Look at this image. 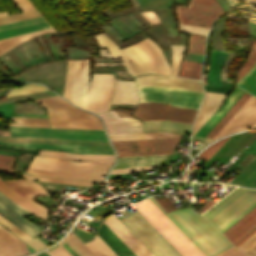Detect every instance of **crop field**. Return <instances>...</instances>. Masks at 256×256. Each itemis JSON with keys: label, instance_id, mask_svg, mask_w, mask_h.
Returning a JSON list of instances; mask_svg holds the SVG:
<instances>
[{"label": "crop field", "instance_id": "crop-field-12", "mask_svg": "<svg viewBox=\"0 0 256 256\" xmlns=\"http://www.w3.org/2000/svg\"><path fill=\"white\" fill-rule=\"evenodd\" d=\"M7 185H9L15 192H17L20 196L25 197L27 199L32 200L34 195H48L46 190L39 184L30 181V180H15V181H4ZM4 182L0 180V184L7 189L11 194H13L16 198L22 200L23 202L29 204L36 210L40 211L44 215H46L47 208L33 202L30 200H27L25 198L20 197L18 194H16L10 187H8ZM2 186H0V190L5 193L9 198H11L13 201L33 213L34 215L38 216L41 219H45L46 216L41 214L40 212L36 211L29 205L23 203L22 201L16 199L14 196H12L8 191H6Z\"/></svg>", "mask_w": 256, "mask_h": 256}, {"label": "crop field", "instance_id": "crop-field-53", "mask_svg": "<svg viewBox=\"0 0 256 256\" xmlns=\"http://www.w3.org/2000/svg\"><path fill=\"white\" fill-rule=\"evenodd\" d=\"M179 30L188 31L192 33H199V34H205L207 35L209 29L208 28H202V27H196V26H190V25H182L179 24Z\"/></svg>", "mask_w": 256, "mask_h": 256}, {"label": "crop field", "instance_id": "crop-field-18", "mask_svg": "<svg viewBox=\"0 0 256 256\" xmlns=\"http://www.w3.org/2000/svg\"><path fill=\"white\" fill-rule=\"evenodd\" d=\"M103 222L133 251L136 256H153L114 215Z\"/></svg>", "mask_w": 256, "mask_h": 256}, {"label": "crop field", "instance_id": "crop-field-50", "mask_svg": "<svg viewBox=\"0 0 256 256\" xmlns=\"http://www.w3.org/2000/svg\"><path fill=\"white\" fill-rule=\"evenodd\" d=\"M43 20L44 19L41 16H38V17H34V18H30V19H26V20L14 22V23L2 25V26H0V31L27 25V24H31V23H35V22H39V21H43Z\"/></svg>", "mask_w": 256, "mask_h": 256}, {"label": "crop field", "instance_id": "crop-field-9", "mask_svg": "<svg viewBox=\"0 0 256 256\" xmlns=\"http://www.w3.org/2000/svg\"><path fill=\"white\" fill-rule=\"evenodd\" d=\"M120 221L154 256H180L138 212Z\"/></svg>", "mask_w": 256, "mask_h": 256}, {"label": "crop field", "instance_id": "crop-field-19", "mask_svg": "<svg viewBox=\"0 0 256 256\" xmlns=\"http://www.w3.org/2000/svg\"><path fill=\"white\" fill-rule=\"evenodd\" d=\"M109 134L142 132L141 122L133 118L119 117L114 110L99 113Z\"/></svg>", "mask_w": 256, "mask_h": 256}, {"label": "crop field", "instance_id": "crop-field-60", "mask_svg": "<svg viewBox=\"0 0 256 256\" xmlns=\"http://www.w3.org/2000/svg\"><path fill=\"white\" fill-rule=\"evenodd\" d=\"M10 126H30V127H49L48 124H33V123H10Z\"/></svg>", "mask_w": 256, "mask_h": 256}, {"label": "crop field", "instance_id": "crop-field-37", "mask_svg": "<svg viewBox=\"0 0 256 256\" xmlns=\"http://www.w3.org/2000/svg\"><path fill=\"white\" fill-rule=\"evenodd\" d=\"M48 27L49 25L46 23V21H43V22H39V23L27 25V26L15 28V29L0 32V39L32 32V31H36V30H40Z\"/></svg>", "mask_w": 256, "mask_h": 256}, {"label": "crop field", "instance_id": "crop-field-64", "mask_svg": "<svg viewBox=\"0 0 256 256\" xmlns=\"http://www.w3.org/2000/svg\"><path fill=\"white\" fill-rule=\"evenodd\" d=\"M105 65H124L123 63H95V66H105Z\"/></svg>", "mask_w": 256, "mask_h": 256}, {"label": "crop field", "instance_id": "crop-field-62", "mask_svg": "<svg viewBox=\"0 0 256 256\" xmlns=\"http://www.w3.org/2000/svg\"><path fill=\"white\" fill-rule=\"evenodd\" d=\"M215 202L208 200L204 206L198 211L200 213H203L205 210H207L211 205H213Z\"/></svg>", "mask_w": 256, "mask_h": 256}, {"label": "crop field", "instance_id": "crop-field-10", "mask_svg": "<svg viewBox=\"0 0 256 256\" xmlns=\"http://www.w3.org/2000/svg\"><path fill=\"white\" fill-rule=\"evenodd\" d=\"M223 13L225 11L216 0H191L188 7H176L179 23L208 28Z\"/></svg>", "mask_w": 256, "mask_h": 256}, {"label": "crop field", "instance_id": "crop-field-38", "mask_svg": "<svg viewBox=\"0 0 256 256\" xmlns=\"http://www.w3.org/2000/svg\"><path fill=\"white\" fill-rule=\"evenodd\" d=\"M225 55L226 52L212 50L209 79L220 80L219 71L222 67Z\"/></svg>", "mask_w": 256, "mask_h": 256}, {"label": "crop field", "instance_id": "crop-field-45", "mask_svg": "<svg viewBox=\"0 0 256 256\" xmlns=\"http://www.w3.org/2000/svg\"><path fill=\"white\" fill-rule=\"evenodd\" d=\"M22 178L30 179V180H38V181L70 183V184L84 185V186H90L93 183H95V182H92V181L55 179V178L39 177V176H33V175H27V174H22Z\"/></svg>", "mask_w": 256, "mask_h": 256}, {"label": "crop field", "instance_id": "crop-field-26", "mask_svg": "<svg viewBox=\"0 0 256 256\" xmlns=\"http://www.w3.org/2000/svg\"><path fill=\"white\" fill-rule=\"evenodd\" d=\"M58 245L70 256H95L72 232Z\"/></svg>", "mask_w": 256, "mask_h": 256}, {"label": "crop field", "instance_id": "crop-field-13", "mask_svg": "<svg viewBox=\"0 0 256 256\" xmlns=\"http://www.w3.org/2000/svg\"><path fill=\"white\" fill-rule=\"evenodd\" d=\"M179 138L112 142L118 156L172 153Z\"/></svg>", "mask_w": 256, "mask_h": 256}, {"label": "crop field", "instance_id": "crop-field-40", "mask_svg": "<svg viewBox=\"0 0 256 256\" xmlns=\"http://www.w3.org/2000/svg\"><path fill=\"white\" fill-rule=\"evenodd\" d=\"M85 245L96 255V256H117L97 235L94 240Z\"/></svg>", "mask_w": 256, "mask_h": 256}, {"label": "crop field", "instance_id": "crop-field-59", "mask_svg": "<svg viewBox=\"0 0 256 256\" xmlns=\"http://www.w3.org/2000/svg\"><path fill=\"white\" fill-rule=\"evenodd\" d=\"M255 244H256V233L251 238H249L246 242H244L241 246H239L238 248H240L246 252Z\"/></svg>", "mask_w": 256, "mask_h": 256}, {"label": "crop field", "instance_id": "crop-field-24", "mask_svg": "<svg viewBox=\"0 0 256 256\" xmlns=\"http://www.w3.org/2000/svg\"><path fill=\"white\" fill-rule=\"evenodd\" d=\"M137 100L133 82L116 80L112 103L136 104Z\"/></svg>", "mask_w": 256, "mask_h": 256}, {"label": "crop field", "instance_id": "crop-field-46", "mask_svg": "<svg viewBox=\"0 0 256 256\" xmlns=\"http://www.w3.org/2000/svg\"><path fill=\"white\" fill-rule=\"evenodd\" d=\"M41 90H47V88L39 84H25L22 87L12 88L7 97Z\"/></svg>", "mask_w": 256, "mask_h": 256}, {"label": "crop field", "instance_id": "crop-field-7", "mask_svg": "<svg viewBox=\"0 0 256 256\" xmlns=\"http://www.w3.org/2000/svg\"><path fill=\"white\" fill-rule=\"evenodd\" d=\"M140 102H158L172 106H179L197 110L202 100L203 92L178 89L157 85L137 87ZM199 101L198 105H194Z\"/></svg>", "mask_w": 256, "mask_h": 256}, {"label": "crop field", "instance_id": "crop-field-47", "mask_svg": "<svg viewBox=\"0 0 256 256\" xmlns=\"http://www.w3.org/2000/svg\"><path fill=\"white\" fill-rule=\"evenodd\" d=\"M256 62V41L253 40V45L251 52L247 61L244 63L242 68L240 69L237 77V81L252 67V65Z\"/></svg>", "mask_w": 256, "mask_h": 256}, {"label": "crop field", "instance_id": "crop-field-5", "mask_svg": "<svg viewBox=\"0 0 256 256\" xmlns=\"http://www.w3.org/2000/svg\"><path fill=\"white\" fill-rule=\"evenodd\" d=\"M36 102L47 109L52 127L103 129L97 117L68 104L59 96L36 100Z\"/></svg>", "mask_w": 256, "mask_h": 256}, {"label": "crop field", "instance_id": "crop-field-31", "mask_svg": "<svg viewBox=\"0 0 256 256\" xmlns=\"http://www.w3.org/2000/svg\"><path fill=\"white\" fill-rule=\"evenodd\" d=\"M95 38L99 44L100 47H107L108 51L112 55V57H121L123 62L126 65L127 70L132 74L136 75L137 72L132 67L128 59L124 56V54L121 52V50L103 33L99 35H95Z\"/></svg>", "mask_w": 256, "mask_h": 256}, {"label": "crop field", "instance_id": "crop-field-48", "mask_svg": "<svg viewBox=\"0 0 256 256\" xmlns=\"http://www.w3.org/2000/svg\"><path fill=\"white\" fill-rule=\"evenodd\" d=\"M249 153L256 155V140L225 171L230 173Z\"/></svg>", "mask_w": 256, "mask_h": 256}, {"label": "crop field", "instance_id": "crop-field-44", "mask_svg": "<svg viewBox=\"0 0 256 256\" xmlns=\"http://www.w3.org/2000/svg\"><path fill=\"white\" fill-rule=\"evenodd\" d=\"M205 36L191 34L187 52L203 55Z\"/></svg>", "mask_w": 256, "mask_h": 256}, {"label": "crop field", "instance_id": "crop-field-29", "mask_svg": "<svg viewBox=\"0 0 256 256\" xmlns=\"http://www.w3.org/2000/svg\"><path fill=\"white\" fill-rule=\"evenodd\" d=\"M23 13L14 14L0 18V25L38 16V12L33 8L28 0H12Z\"/></svg>", "mask_w": 256, "mask_h": 256}, {"label": "crop field", "instance_id": "crop-field-68", "mask_svg": "<svg viewBox=\"0 0 256 256\" xmlns=\"http://www.w3.org/2000/svg\"><path fill=\"white\" fill-rule=\"evenodd\" d=\"M37 256H49L47 253L43 252L41 254H38Z\"/></svg>", "mask_w": 256, "mask_h": 256}, {"label": "crop field", "instance_id": "crop-field-15", "mask_svg": "<svg viewBox=\"0 0 256 256\" xmlns=\"http://www.w3.org/2000/svg\"><path fill=\"white\" fill-rule=\"evenodd\" d=\"M195 112L158 103H147L139 104L134 115L143 120L167 119L191 124Z\"/></svg>", "mask_w": 256, "mask_h": 256}, {"label": "crop field", "instance_id": "crop-field-4", "mask_svg": "<svg viewBox=\"0 0 256 256\" xmlns=\"http://www.w3.org/2000/svg\"><path fill=\"white\" fill-rule=\"evenodd\" d=\"M0 144L25 149H51L73 153L114 154L107 140L0 136Z\"/></svg>", "mask_w": 256, "mask_h": 256}, {"label": "crop field", "instance_id": "crop-field-65", "mask_svg": "<svg viewBox=\"0 0 256 256\" xmlns=\"http://www.w3.org/2000/svg\"><path fill=\"white\" fill-rule=\"evenodd\" d=\"M246 253H248L251 256H256V245L254 247H252L249 251H247Z\"/></svg>", "mask_w": 256, "mask_h": 256}, {"label": "crop field", "instance_id": "crop-field-36", "mask_svg": "<svg viewBox=\"0 0 256 256\" xmlns=\"http://www.w3.org/2000/svg\"><path fill=\"white\" fill-rule=\"evenodd\" d=\"M201 63L183 59L179 76L200 79Z\"/></svg>", "mask_w": 256, "mask_h": 256}, {"label": "crop field", "instance_id": "crop-field-16", "mask_svg": "<svg viewBox=\"0 0 256 256\" xmlns=\"http://www.w3.org/2000/svg\"><path fill=\"white\" fill-rule=\"evenodd\" d=\"M0 214L7 218L10 222L23 230L25 233L34 237L39 233L40 229L36 225L22 218V215H33L0 191Z\"/></svg>", "mask_w": 256, "mask_h": 256}, {"label": "crop field", "instance_id": "crop-field-67", "mask_svg": "<svg viewBox=\"0 0 256 256\" xmlns=\"http://www.w3.org/2000/svg\"><path fill=\"white\" fill-rule=\"evenodd\" d=\"M0 135L9 136V132L0 130Z\"/></svg>", "mask_w": 256, "mask_h": 256}, {"label": "crop field", "instance_id": "crop-field-52", "mask_svg": "<svg viewBox=\"0 0 256 256\" xmlns=\"http://www.w3.org/2000/svg\"><path fill=\"white\" fill-rule=\"evenodd\" d=\"M15 157L0 155V169L10 171Z\"/></svg>", "mask_w": 256, "mask_h": 256}, {"label": "crop field", "instance_id": "crop-field-25", "mask_svg": "<svg viewBox=\"0 0 256 256\" xmlns=\"http://www.w3.org/2000/svg\"><path fill=\"white\" fill-rule=\"evenodd\" d=\"M121 50L130 60L138 74L155 73L146 56L135 44Z\"/></svg>", "mask_w": 256, "mask_h": 256}, {"label": "crop field", "instance_id": "crop-field-6", "mask_svg": "<svg viewBox=\"0 0 256 256\" xmlns=\"http://www.w3.org/2000/svg\"><path fill=\"white\" fill-rule=\"evenodd\" d=\"M134 206L183 256H204L148 198Z\"/></svg>", "mask_w": 256, "mask_h": 256}, {"label": "crop field", "instance_id": "crop-field-49", "mask_svg": "<svg viewBox=\"0 0 256 256\" xmlns=\"http://www.w3.org/2000/svg\"><path fill=\"white\" fill-rule=\"evenodd\" d=\"M230 137V136H229ZM224 138L212 145H210L208 148H206L204 151H202L199 155V157L207 160L209 159L220 147L221 145L229 138Z\"/></svg>", "mask_w": 256, "mask_h": 256}, {"label": "crop field", "instance_id": "crop-field-72", "mask_svg": "<svg viewBox=\"0 0 256 256\" xmlns=\"http://www.w3.org/2000/svg\"><path fill=\"white\" fill-rule=\"evenodd\" d=\"M34 256H36V255H34Z\"/></svg>", "mask_w": 256, "mask_h": 256}, {"label": "crop field", "instance_id": "crop-field-3", "mask_svg": "<svg viewBox=\"0 0 256 256\" xmlns=\"http://www.w3.org/2000/svg\"><path fill=\"white\" fill-rule=\"evenodd\" d=\"M112 162H74L61 158L35 156L28 173L84 180L100 181L101 175L110 168Z\"/></svg>", "mask_w": 256, "mask_h": 256}, {"label": "crop field", "instance_id": "crop-field-1", "mask_svg": "<svg viewBox=\"0 0 256 256\" xmlns=\"http://www.w3.org/2000/svg\"><path fill=\"white\" fill-rule=\"evenodd\" d=\"M149 199L205 256H212L232 245L204 216L192 208L166 214L153 196Z\"/></svg>", "mask_w": 256, "mask_h": 256}, {"label": "crop field", "instance_id": "crop-field-42", "mask_svg": "<svg viewBox=\"0 0 256 256\" xmlns=\"http://www.w3.org/2000/svg\"><path fill=\"white\" fill-rule=\"evenodd\" d=\"M237 86L256 96V64L243 77V79L237 84Z\"/></svg>", "mask_w": 256, "mask_h": 256}, {"label": "crop field", "instance_id": "crop-field-34", "mask_svg": "<svg viewBox=\"0 0 256 256\" xmlns=\"http://www.w3.org/2000/svg\"><path fill=\"white\" fill-rule=\"evenodd\" d=\"M248 93H244L241 98L231 107V109L220 119V121L206 135L213 138L217 132L227 123V121L237 112L240 106L250 97Z\"/></svg>", "mask_w": 256, "mask_h": 256}, {"label": "crop field", "instance_id": "crop-field-39", "mask_svg": "<svg viewBox=\"0 0 256 256\" xmlns=\"http://www.w3.org/2000/svg\"><path fill=\"white\" fill-rule=\"evenodd\" d=\"M10 136L107 139L106 136L45 134V133H21V132H10Z\"/></svg>", "mask_w": 256, "mask_h": 256}, {"label": "crop field", "instance_id": "crop-field-23", "mask_svg": "<svg viewBox=\"0 0 256 256\" xmlns=\"http://www.w3.org/2000/svg\"><path fill=\"white\" fill-rule=\"evenodd\" d=\"M97 235L118 255L135 256L132 251L104 224L102 223Z\"/></svg>", "mask_w": 256, "mask_h": 256}, {"label": "crop field", "instance_id": "crop-field-69", "mask_svg": "<svg viewBox=\"0 0 256 256\" xmlns=\"http://www.w3.org/2000/svg\"><path fill=\"white\" fill-rule=\"evenodd\" d=\"M5 15H7V11L0 12V17H1V16H5Z\"/></svg>", "mask_w": 256, "mask_h": 256}, {"label": "crop field", "instance_id": "crop-field-63", "mask_svg": "<svg viewBox=\"0 0 256 256\" xmlns=\"http://www.w3.org/2000/svg\"><path fill=\"white\" fill-rule=\"evenodd\" d=\"M17 241L19 243V246H20V249L22 251V254L25 255V254L29 253L27 248H26V246H25V244L22 243L19 239H17Z\"/></svg>", "mask_w": 256, "mask_h": 256}, {"label": "crop field", "instance_id": "crop-field-66", "mask_svg": "<svg viewBox=\"0 0 256 256\" xmlns=\"http://www.w3.org/2000/svg\"><path fill=\"white\" fill-rule=\"evenodd\" d=\"M99 53H100L101 56L111 57V56L108 54V52H107L106 50H104V49L99 50Z\"/></svg>", "mask_w": 256, "mask_h": 256}, {"label": "crop field", "instance_id": "crop-field-32", "mask_svg": "<svg viewBox=\"0 0 256 256\" xmlns=\"http://www.w3.org/2000/svg\"><path fill=\"white\" fill-rule=\"evenodd\" d=\"M109 136L111 138V141L181 137V135L179 134L167 132L117 134Z\"/></svg>", "mask_w": 256, "mask_h": 256}, {"label": "crop field", "instance_id": "crop-field-61", "mask_svg": "<svg viewBox=\"0 0 256 256\" xmlns=\"http://www.w3.org/2000/svg\"><path fill=\"white\" fill-rule=\"evenodd\" d=\"M51 256H68L60 247L55 250L49 252Z\"/></svg>", "mask_w": 256, "mask_h": 256}, {"label": "crop field", "instance_id": "crop-field-73", "mask_svg": "<svg viewBox=\"0 0 256 256\" xmlns=\"http://www.w3.org/2000/svg\"><path fill=\"white\" fill-rule=\"evenodd\" d=\"M256 127V126H255Z\"/></svg>", "mask_w": 256, "mask_h": 256}, {"label": "crop field", "instance_id": "crop-field-51", "mask_svg": "<svg viewBox=\"0 0 256 256\" xmlns=\"http://www.w3.org/2000/svg\"><path fill=\"white\" fill-rule=\"evenodd\" d=\"M183 47L184 46L172 45V48H173L172 68H173L174 75H177V73H178L179 60H180L181 55H182Z\"/></svg>", "mask_w": 256, "mask_h": 256}, {"label": "crop field", "instance_id": "crop-field-41", "mask_svg": "<svg viewBox=\"0 0 256 256\" xmlns=\"http://www.w3.org/2000/svg\"><path fill=\"white\" fill-rule=\"evenodd\" d=\"M9 130L10 131H22V132H46V133H70V134L105 135L103 131H87V130L26 129V128H9Z\"/></svg>", "mask_w": 256, "mask_h": 256}, {"label": "crop field", "instance_id": "crop-field-71", "mask_svg": "<svg viewBox=\"0 0 256 256\" xmlns=\"http://www.w3.org/2000/svg\"><path fill=\"white\" fill-rule=\"evenodd\" d=\"M3 54V52L0 50V55Z\"/></svg>", "mask_w": 256, "mask_h": 256}, {"label": "crop field", "instance_id": "crop-field-8", "mask_svg": "<svg viewBox=\"0 0 256 256\" xmlns=\"http://www.w3.org/2000/svg\"><path fill=\"white\" fill-rule=\"evenodd\" d=\"M245 91L235 87L232 93L222 104L226 94L206 92L205 100L196 117L193 134L202 126V124L212 115L204 125L195 133L196 135L205 136L209 130L219 121V119L230 109V107L240 98Z\"/></svg>", "mask_w": 256, "mask_h": 256}, {"label": "crop field", "instance_id": "crop-field-30", "mask_svg": "<svg viewBox=\"0 0 256 256\" xmlns=\"http://www.w3.org/2000/svg\"><path fill=\"white\" fill-rule=\"evenodd\" d=\"M230 183L256 187V157Z\"/></svg>", "mask_w": 256, "mask_h": 256}, {"label": "crop field", "instance_id": "crop-field-22", "mask_svg": "<svg viewBox=\"0 0 256 256\" xmlns=\"http://www.w3.org/2000/svg\"><path fill=\"white\" fill-rule=\"evenodd\" d=\"M174 154L118 157L114 168L165 165Z\"/></svg>", "mask_w": 256, "mask_h": 256}, {"label": "crop field", "instance_id": "crop-field-11", "mask_svg": "<svg viewBox=\"0 0 256 256\" xmlns=\"http://www.w3.org/2000/svg\"><path fill=\"white\" fill-rule=\"evenodd\" d=\"M88 83V60H68L63 96L84 108Z\"/></svg>", "mask_w": 256, "mask_h": 256}, {"label": "crop field", "instance_id": "crop-field-58", "mask_svg": "<svg viewBox=\"0 0 256 256\" xmlns=\"http://www.w3.org/2000/svg\"><path fill=\"white\" fill-rule=\"evenodd\" d=\"M237 249L234 247H231L215 256H247L244 253L240 252L241 250L239 251Z\"/></svg>", "mask_w": 256, "mask_h": 256}, {"label": "crop field", "instance_id": "crop-field-33", "mask_svg": "<svg viewBox=\"0 0 256 256\" xmlns=\"http://www.w3.org/2000/svg\"><path fill=\"white\" fill-rule=\"evenodd\" d=\"M0 223H2L4 226H6L11 232H13L16 236H18L20 239H22L24 242H26L32 248L39 250V249H43V248L47 247L36 237L34 239L30 238L28 235H26L20 229L15 227L13 224H11L9 221H7L5 218H3L1 215H0Z\"/></svg>", "mask_w": 256, "mask_h": 256}, {"label": "crop field", "instance_id": "crop-field-21", "mask_svg": "<svg viewBox=\"0 0 256 256\" xmlns=\"http://www.w3.org/2000/svg\"><path fill=\"white\" fill-rule=\"evenodd\" d=\"M136 45L147 56L156 73L171 75L167 62L155 43L146 38L136 43Z\"/></svg>", "mask_w": 256, "mask_h": 256}, {"label": "crop field", "instance_id": "crop-field-27", "mask_svg": "<svg viewBox=\"0 0 256 256\" xmlns=\"http://www.w3.org/2000/svg\"><path fill=\"white\" fill-rule=\"evenodd\" d=\"M15 236L0 226V256H20Z\"/></svg>", "mask_w": 256, "mask_h": 256}, {"label": "crop field", "instance_id": "crop-field-57", "mask_svg": "<svg viewBox=\"0 0 256 256\" xmlns=\"http://www.w3.org/2000/svg\"><path fill=\"white\" fill-rule=\"evenodd\" d=\"M152 26L160 24V20L153 12L140 13Z\"/></svg>", "mask_w": 256, "mask_h": 256}, {"label": "crop field", "instance_id": "crop-field-28", "mask_svg": "<svg viewBox=\"0 0 256 256\" xmlns=\"http://www.w3.org/2000/svg\"><path fill=\"white\" fill-rule=\"evenodd\" d=\"M190 128L191 125L189 124H183L167 120L144 121L145 131L166 130L184 134V129L190 130Z\"/></svg>", "mask_w": 256, "mask_h": 256}, {"label": "crop field", "instance_id": "crop-field-17", "mask_svg": "<svg viewBox=\"0 0 256 256\" xmlns=\"http://www.w3.org/2000/svg\"><path fill=\"white\" fill-rule=\"evenodd\" d=\"M256 123V98L250 97L232 119L214 137L217 139L230 132L251 128Z\"/></svg>", "mask_w": 256, "mask_h": 256}, {"label": "crop field", "instance_id": "crop-field-70", "mask_svg": "<svg viewBox=\"0 0 256 256\" xmlns=\"http://www.w3.org/2000/svg\"><path fill=\"white\" fill-rule=\"evenodd\" d=\"M249 1H252V2H255V3H256V0H249Z\"/></svg>", "mask_w": 256, "mask_h": 256}, {"label": "crop field", "instance_id": "crop-field-43", "mask_svg": "<svg viewBox=\"0 0 256 256\" xmlns=\"http://www.w3.org/2000/svg\"><path fill=\"white\" fill-rule=\"evenodd\" d=\"M46 32H54L53 29H49V30H45V31H41V32H37V33H33V34H29V35H25V36H21V37H17V38H13V39H9V40H5V41H1L0 42V49L3 50L4 52L11 49V48H14L17 44L23 42V41H26V40H29L37 35H41L43 33H46Z\"/></svg>", "mask_w": 256, "mask_h": 256}, {"label": "crop field", "instance_id": "crop-field-14", "mask_svg": "<svg viewBox=\"0 0 256 256\" xmlns=\"http://www.w3.org/2000/svg\"><path fill=\"white\" fill-rule=\"evenodd\" d=\"M113 83L112 74H94L85 108L94 113L108 110Z\"/></svg>", "mask_w": 256, "mask_h": 256}, {"label": "crop field", "instance_id": "crop-field-56", "mask_svg": "<svg viewBox=\"0 0 256 256\" xmlns=\"http://www.w3.org/2000/svg\"><path fill=\"white\" fill-rule=\"evenodd\" d=\"M157 201L165 209L166 212L176 210L175 206L172 204L168 197L157 199Z\"/></svg>", "mask_w": 256, "mask_h": 256}, {"label": "crop field", "instance_id": "crop-field-20", "mask_svg": "<svg viewBox=\"0 0 256 256\" xmlns=\"http://www.w3.org/2000/svg\"><path fill=\"white\" fill-rule=\"evenodd\" d=\"M134 79L137 86L157 84L203 91L201 82L197 80L161 75H149L144 77H137Z\"/></svg>", "mask_w": 256, "mask_h": 256}, {"label": "crop field", "instance_id": "crop-field-2", "mask_svg": "<svg viewBox=\"0 0 256 256\" xmlns=\"http://www.w3.org/2000/svg\"><path fill=\"white\" fill-rule=\"evenodd\" d=\"M256 206V190L248 189L210 221L223 233ZM256 232V207L223 234L237 247Z\"/></svg>", "mask_w": 256, "mask_h": 256}, {"label": "crop field", "instance_id": "crop-field-55", "mask_svg": "<svg viewBox=\"0 0 256 256\" xmlns=\"http://www.w3.org/2000/svg\"><path fill=\"white\" fill-rule=\"evenodd\" d=\"M158 167V166H156ZM154 167H139V168H121V169H112L110 174H116V173H130V172H139L147 169H151Z\"/></svg>", "mask_w": 256, "mask_h": 256}, {"label": "crop field", "instance_id": "crop-field-35", "mask_svg": "<svg viewBox=\"0 0 256 256\" xmlns=\"http://www.w3.org/2000/svg\"><path fill=\"white\" fill-rule=\"evenodd\" d=\"M245 190L247 189L237 187L231 193H229L226 197H224L221 201H219L216 205H214L215 208L208 210L207 212L204 213V215L210 220L222 209H224L228 204H230L234 199H236L239 195H241Z\"/></svg>", "mask_w": 256, "mask_h": 256}, {"label": "crop field", "instance_id": "crop-field-54", "mask_svg": "<svg viewBox=\"0 0 256 256\" xmlns=\"http://www.w3.org/2000/svg\"><path fill=\"white\" fill-rule=\"evenodd\" d=\"M14 122H33V123H48L47 118H30V117H12Z\"/></svg>", "mask_w": 256, "mask_h": 256}]
</instances>
